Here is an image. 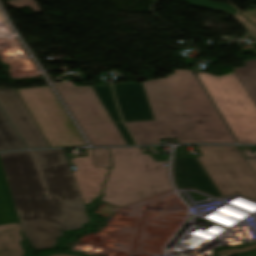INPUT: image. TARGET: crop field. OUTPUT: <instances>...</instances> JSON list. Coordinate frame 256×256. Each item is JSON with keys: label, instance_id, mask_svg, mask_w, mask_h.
<instances>
[{"label": "crop field", "instance_id": "1", "mask_svg": "<svg viewBox=\"0 0 256 256\" xmlns=\"http://www.w3.org/2000/svg\"><path fill=\"white\" fill-rule=\"evenodd\" d=\"M143 84L157 121L126 123L138 145L161 144L158 136H175L178 143H236L192 71L175 70Z\"/></svg>", "mask_w": 256, "mask_h": 256}, {"label": "crop field", "instance_id": "2", "mask_svg": "<svg viewBox=\"0 0 256 256\" xmlns=\"http://www.w3.org/2000/svg\"><path fill=\"white\" fill-rule=\"evenodd\" d=\"M1 163L25 237L36 249L51 248L62 235L30 151L0 154Z\"/></svg>", "mask_w": 256, "mask_h": 256}, {"label": "crop field", "instance_id": "3", "mask_svg": "<svg viewBox=\"0 0 256 256\" xmlns=\"http://www.w3.org/2000/svg\"><path fill=\"white\" fill-rule=\"evenodd\" d=\"M63 230L89 222L74 175L63 150L34 151Z\"/></svg>", "mask_w": 256, "mask_h": 256}, {"label": "crop field", "instance_id": "4", "mask_svg": "<svg viewBox=\"0 0 256 256\" xmlns=\"http://www.w3.org/2000/svg\"><path fill=\"white\" fill-rule=\"evenodd\" d=\"M198 74L239 143H256V106L235 73Z\"/></svg>", "mask_w": 256, "mask_h": 256}, {"label": "crop field", "instance_id": "5", "mask_svg": "<svg viewBox=\"0 0 256 256\" xmlns=\"http://www.w3.org/2000/svg\"><path fill=\"white\" fill-rule=\"evenodd\" d=\"M55 87L92 145H127L92 87H75L73 82Z\"/></svg>", "mask_w": 256, "mask_h": 256}, {"label": "crop field", "instance_id": "6", "mask_svg": "<svg viewBox=\"0 0 256 256\" xmlns=\"http://www.w3.org/2000/svg\"><path fill=\"white\" fill-rule=\"evenodd\" d=\"M17 91L49 147L85 145L49 86L17 89Z\"/></svg>", "mask_w": 256, "mask_h": 256}, {"label": "crop field", "instance_id": "7", "mask_svg": "<svg viewBox=\"0 0 256 256\" xmlns=\"http://www.w3.org/2000/svg\"><path fill=\"white\" fill-rule=\"evenodd\" d=\"M198 159L215 186L256 199V175L236 147L197 146Z\"/></svg>", "mask_w": 256, "mask_h": 256}, {"label": "crop field", "instance_id": "8", "mask_svg": "<svg viewBox=\"0 0 256 256\" xmlns=\"http://www.w3.org/2000/svg\"><path fill=\"white\" fill-rule=\"evenodd\" d=\"M110 170L101 201L123 207L143 200L129 148L110 149Z\"/></svg>", "mask_w": 256, "mask_h": 256}, {"label": "crop field", "instance_id": "9", "mask_svg": "<svg viewBox=\"0 0 256 256\" xmlns=\"http://www.w3.org/2000/svg\"><path fill=\"white\" fill-rule=\"evenodd\" d=\"M0 104L30 148L48 147L16 89L0 87Z\"/></svg>", "mask_w": 256, "mask_h": 256}, {"label": "crop field", "instance_id": "10", "mask_svg": "<svg viewBox=\"0 0 256 256\" xmlns=\"http://www.w3.org/2000/svg\"><path fill=\"white\" fill-rule=\"evenodd\" d=\"M141 191L144 198L172 190L168 179L167 167L156 162L149 154H144L141 148H130Z\"/></svg>", "mask_w": 256, "mask_h": 256}, {"label": "crop field", "instance_id": "11", "mask_svg": "<svg viewBox=\"0 0 256 256\" xmlns=\"http://www.w3.org/2000/svg\"><path fill=\"white\" fill-rule=\"evenodd\" d=\"M114 88L125 121L155 120L142 83L116 84Z\"/></svg>", "mask_w": 256, "mask_h": 256}, {"label": "crop field", "instance_id": "12", "mask_svg": "<svg viewBox=\"0 0 256 256\" xmlns=\"http://www.w3.org/2000/svg\"><path fill=\"white\" fill-rule=\"evenodd\" d=\"M86 158H72V164L77 171L73 172L82 196L87 206L100 195L101 188L107 176L106 168L94 167L91 149H85Z\"/></svg>", "mask_w": 256, "mask_h": 256}, {"label": "crop field", "instance_id": "13", "mask_svg": "<svg viewBox=\"0 0 256 256\" xmlns=\"http://www.w3.org/2000/svg\"><path fill=\"white\" fill-rule=\"evenodd\" d=\"M173 177L177 188L196 189L214 186L197 157L175 156Z\"/></svg>", "mask_w": 256, "mask_h": 256}, {"label": "crop field", "instance_id": "14", "mask_svg": "<svg viewBox=\"0 0 256 256\" xmlns=\"http://www.w3.org/2000/svg\"><path fill=\"white\" fill-rule=\"evenodd\" d=\"M19 224L0 227V256H22Z\"/></svg>", "mask_w": 256, "mask_h": 256}, {"label": "crop field", "instance_id": "15", "mask_svg": "<svg viewBox=\"0 0 256 256\" xmlns=\"http://www.w3.org/2000/svg\"><path fill=\"white\" fill-rule=\"evenodd\" d=\"M18 222L17 214L0 163V226Z\"/></svg>", "mask_w": 256, "mask_h": 256}, {"label": "crop field", "instance_id": "16", "mask_svg": "<svg viewBox=\"0 0 256 256\" xmlns=\"http://www.w3.org/2000/svg\"><path fill=\"white\" fill-rule=\"evenodd\" d=\"M24 148L26 146L0 110V151Z\"/></svg>", "mask_w": 256, "mask_h": 256}, {"label": "crop field", "instance_id": "17", "mask_svg": "<svg viewBox=\"0 0 256 256\" xmlns=\"http://www.w3.org/2000/svg\"><path fill=\"white\" fill-rule=\"evenodd\" d=\"M246 67L233 69L256 104V60L245 62Z\"/></svg>", "mask_w": 256, "mask_h": 256}, {"label": "crop field", "instance_id": "18", "mask_svg": "<svg viewBox=\"0 0 256 256\" xmlns=\"http://www.w3.org/2000/svg\"><path fill=\"white\" fill-rule=\"evenodd\" d=\"M93 89L106 108L113 122H122L118 114L111 86L93 87Z\"/></svg>", "mask_w": 256, "mask_h": 256}, {"label": "crop field", "instance_id": "19", "mask_svg": "<svg viewBox=\"0 0 256 256\" xmlns=\"http://www.w3.org/2000/svg\"><path fill=\"white\" fill-rule=\"evenodd\" d=\"M95 166L110 168V153L108 149H92Z\"/></svg>", "mask_w": 256, "mask_h": 256}, {"label": "crop field", "instance_id": "20", "mask_svg": "<svg viewBox=\"0 0 256 256\" xmlns=\"http://www.w3.org/2000/svg\"><path fill=\"white\" fill-rule=\"evenodd\" d=\"M188 2L190 4L196 5V6H201V7H206V8L216 9V10H222V11H227V12H231V13L237 12L234 8H232L228 5L211 2L208 0H188Z\"/></svg>", "mask_w": 256, "mask_h": 256}, {"label": "crop field", "instance_id": "21", "mask_svg": "<svg viewBox=\"0 0 256 256\" xmlns=\"http://www.w3.org/2000/svg\"><path fill=\"white\" fill-rule=\"evenodd\" d=\"M7 3H9L10 5L16 8L29 5L34 12L36 13L41 12V9L39 8L35 0H11V1H7Z\"/></svg>", "mask_w": 256, "mask_h": 256}, {"label": "crop field", "instance_id": "22", "mask_svg": "<svg viewBox=\"0 0 256 256\" xmlns=\"http://www.w3.org/2000/svg\"><path fill=\"white\" fill-rule=\"evenodd\" d=\"M236 17L238 21L241 22L247 28L249 36L256 39V27L240 14L236 15Z\"/></svg>", "mask_w": 256, "mask_h": 256}, {"label": "crop field", "instance_id": "23", "mask_svg": "<svg viewBox=\"0 0 256 256\" xmlns=\"http://www.w3.org/2000/svg\"><path fill=\"white\" fill-rule=\"evenodd\" d=\"M128 145H135L123 123H115Z\"/></svg>", "mask_w": 256, "mask_h": 256}, {"label": "crop field", "instance_id": "24", "mask_svg": "<svg viewBox=\"0 0 256 256\" xmlns=\"http://www.w3.org/2000/svg\"><path fill=\"white\" fill-rule=\"evenodd\" d=\"M196 191L202 192L204 194L210 195L212 197L220 196L221 193L217 189V187L212 188H204V189H196Z\"/></svg>", "mask_w": 256, "mask_h": 256}, {"label": "crop field", "instance_id": "25", "mask_svg": "<svg viewBox=\"0 0 256 256\" xmlns=\"http://www.w3.org/2000/svg\"><path fill=\"white\" fill-rule=\"evenodd\" d=\"M246 19L252 22L256 26V10L241 13Z\"/></svg>", "mask_w": 256, "mask_h": 256}, {"label": "crop field", "instance_id": "26", "mask_svg": "<svg viewBox=\"0 0 256 256\" xmlns=\"http://www.w3.org/2000/svg\"><path fill=\"white\" fill-rule=\"evenodd\" d=\"M253 171L256 173V160H247Z\"/></svg>", "mask_w": 256, "mask_h": 256}, {"label": "crop field", "instance_id": "27", "mask_svg": "<svg viewBox=\"0 0 256 256\" xmlns=\"http://www.w3.org/2000/svg\"><path fill=\"white\" fill-rule=\"evenodd\" d=\"M249 256H256V251L251 253Z\"/></svg>", "mask_w": 256, "mask_h": 256}, {"label": "crop field", "instance_id": "28", "mask_svg": "<svg viewBox=\"0 0 256 256\" xmlns=\"http://www.w3.org/2000/svg\"><path fill=\"white\" fill-rule=\"evenodd\" d=\"M254 203H256V202H254Z\"/></svg>", "mask_w": 256, "mask_h": 256}]
</instances>
